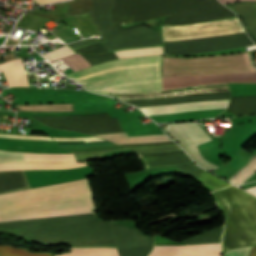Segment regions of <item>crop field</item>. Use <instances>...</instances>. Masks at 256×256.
<instances>
[{
  "label": "crop field",
  "instance_id": "11",
  "mask_svg": "<svg viewBox=\"0 0 256 256\" xmlns=\"http://www.w3.org/2000/svg\"><path fill=\"white\" fill-rule=\"evenodd\" d=\"M220 243L155 246L148 256H219Z\"/></svg>",
  "mask_w": 256,
  "mask_h": 256
},
{
  "label": "crop field",
  "instance_id": "26",
  "mask_svg": "<svg viewBox=\"0 0 256 256\" xmlns=\"http://www.w3.org/2000/svg\"><path fill=\"white\" fill-rule=\"evenodd\" d=\"M62 60L68 64L73 71L90 66V64L80 54L62 58Z\"/></svg>",
  "mask_w": 256,
  "mask_h": 256
},
{
  "label": "crop field",
  "instance_id": "16",
  "mask_svg": "<svg viewBox=\"0 0 256 256\" xmlns=\"http://www.w3.org/2000/svg\"><path fill=\"white\" fill-rule=\"evenodd\" d=\"M98 136L115 143H142V142L171 140L165 134L152 135V136L128 137L127 133H119V134L98 135Z\"/></svg>",
  "mask_w": 256,
  "mask_h": 256
},
{
  "label": "crop field",
  "instance_id": "9",
  "mask_svg": "<svg viewBox=\"0 0 256 256\" xmlns=\"http://www.w3.org/2000/svg\"><path fill=\"white\" fill-rule=\"evenodd\" d=\"M165 131L175 141L179 142L189 156L201 167L209 171L218 168V166L205 161L200 156L195 142L210 140L211 138L195 122L185 124H168Z\"/></svg>",
  "mask_w": 256,
  "mask_h": 256
},
{
  "label": "crop field",
  "instance_id": "32",
  "mask_svg": "<svg viewBox=\"0 0 256 256\" xmlns=\"http://www.w3.org/2000/svg\"><path fill=\"white\" fill-rule=\"evenodd\" d=\"M76 52H82V53H87V54H98V53H106L107 51H105L100 45L95 44L93 46L81 49L79 51Z\"/></svg>",
  "mask_w": 256,
  "mask_h": 256
},
{
  "label": "crop field",
  "instance_id": "22",
  "mask_svg": "<svg viewBox=\"0 0 256 256\" xmlns=\"http://www.w3.org/2000/svg\"><path fill=\"white\" fill-rule=\"evenodd\" d=\"M21 111H73V104L15 105Z\"/></svg>",
  "mask_w": 256,
  "mask_h": 256
},
{
  "label": "crop field",
  "instance_id": "27",
  "mask_svg": "<svg viewBox=\"0 0 256 256\" xmlns=\"http://www.w3.org/2000/svg\"><path fill=\"white\" fill-rule=\"evenodd\" d=\"M136 153H156V152H164L171 150H179L181 149L177 144L159 146V147H132L130 148Z\"/></svg>",
  "mask_w": 256,
  "mask_h": 256
},
{
  "label": "crop field",
  "instance_id": "31",
  "mask_svg": "<svg viewBox=\"0 0 256 256\" xmlns=\"http://www.w3.org/2000/svg\"><path fill=\"white\" fill-rule=\"evenodd\" d=\"M252 247L235 249L224 253L222 256H248ZM249 256H256V247H253Z\"/></svg>",
  "mask_w": 256,
  "mask_h": 256
},
{
  "label": "crop field",
  "instance_id": "34",
  "mask_svg": "<svg viewBox=\"0 0 256 256\" xmlns=\"http://www.w3.org/2000/svg\"><path fill=\"white\" fill-rule=\"evenodd\" d=\"M53 140H57V141L84 140V142H90V141H101L102 139L96 138V137H85V138H53Z\"/></svg>",
  "mask_w": 256,
  "mask_h": 256
},
{
  "label": "crop field",
  "instance_id": "13",
  "mask_svg": "<svg viewBox=\"0 0 256 256\" xmlns=\"http://www.w3.org/2000/svg\"><path fill=\"white\" fill-rule=\"evenodd\" d=\"M228 101H229V98H223V99L181 102V103H175V104H169V105L144 106L139 108L143 110L145 114H160V113H171V112H178V111L191 110V109L222 107V106H227Z\"/></svg>",
  "mask_w": 256,
  "mask_h": 256
},
{
  "label": "crop field",
  "instance_id": "8",
  "mask_svg": "<svg viewBox=\"0 0 256 256\" xmlns=\"http://www.w3.org/2000/svg\"><path fill=\"white\" fill-rule=\"evenodd\" d=\"M243 31L237 17L163 27V42L215 36Z\"/></svg>",
  "mask_w": 256,
  "mask_h": 256
},
{
  "label": "crop field",
  "instance_id": "35",
  "mask_svg": "<svg viewBox=\"0 0 256 256\" xmlns=\"http://www.w3.org/2000/svg\"><path fill=\"white\" fill-rule=\"evenodd\" d=\"M184 153L183 151H175V152H164V153H157V154H138L139 157H146V156H159V155H172V154H180Z\"/></svg>",
  "mask_w": 256,
  "mask_h": 256
},
{
  "label": "crop field",
  "instance_id": "20",
  "mask_svg": "<svg viewBox=\"0 0 256 256\" xmlns=\"http://www.w3.org/2000/svg\"><path fill=\"white\" fill-rule=\"evenodd\" d=\"M222 226L216 227L214 229L208 230L196 236H193L189 239H186V244H194V243H215L220 242V237L222 234Z\"/></svg>",
  "mask_w": 256,
  "mask_h": 256
},
{
  "label": "crop field",
  "instance_id": "12",
  "mask_svg": "<svg viewBox=\"0 0 256 256\" xmlns=\"http://www.w3.org/2000/svg\"><path fill=\"white\" fill-rule=\"evenodd\" d=\"M108 52L139 47L163 46L161 31H152L101 44Z\"/></svg>",
  "mask_w": 256,
  "mask_h": 256
},
{
  "label": "crop field",
  "instance_id": "37",
  "mask_svg": "<svg viewBox=\"0 0 256 256\" xmlns=\"http://www.w3.org/2000/svg\"><path fill=\"white\" fill-rule=\"evenodd\" d=\"M219 1L222 2L223 4H226V3H232V2L244 1V0H219Z\"/></svg>",
  "mask_w": 256,
  "mask_h": 256
},
{
  "label": "crop field",
  "instance_id": "1",
  "mask_svg": "<svg viewBox=\"0 0 256 256\" xmlns=\"http://www.w3.org/2000/svg\"><path fill=\"white\" fill-rule=\"evenodd\" d=\"M0 231L44 243L116 247L119 256H146L153 246V239L137 229L101 221L95 214L0 222Z\"/></svg>",
  "mask_w": 256,
  "mask_h": 256
},
{
  "label": "crop field",
  "instance_id": "4",
  "mask_svg": "<svg viewBox=\"0 0 256 256\" xmlns=\"http://www.w3.org/2000/svg\"><path fill=\"white\" fill-rule=\"evenodd\" d=\"M168 16L163 26L236 16L217 0H114L113 25Z\"/></svg>",
  "mask_w": 256,
  "mask_h": 256
},
{
  "label": "crop field",
  "instance_id": "2",
  "mask_svg": "<svg viewBox=\"0 0 256 256\" xmlns=\"http://www.w3.org/2000/svg\"><path fill=\"white\" fill-rule=\"evenodd\" d=\"M88 179L0 194V221L92 212Z\"/></svg>",
  "mask_w": 256,
  "mask_h": 256
},
{
  "label": "crop field",
  "instance_id": "5",
  "mask_svg": "<svg viewBox=\"0 0 256 256\" xmlns=\"http://www.w3.org/2000/svg\"><path fill=\"white\" fill-rule=\"evenodd\" d=\"M233 186L212 193L225 217L222 250L256 245V198Z\"/></svg>",
  "mask_w": 256,
  "mask_h": 256
},
{
  "label": "crop field",
  "instance_id": "29",
  "mask_svg": "<svg viewBox=\"0 0 256 256\" xmlns=\"http://www.w3.org/2000/svg\"><path fill=\"white\" fill-rule=\"evenodd\" d=\"M82 55V54H81ZM91 65L97 64L100 62L116 59L117 56L114 52L106 53L103 55H82Z\"/></svg>",
  "mask_w": 256,
  "mask_h": 256
},
{
  "label": "crop field",
  "instance_id": "28",
  "mask_svg": "<svg viewBox=\"0 0 256 256\" xmlns=\"http://www.w3.org/2000/svg\"><path fill=\"white\" fill-rule=\"evenodd\" d=\"M71 54H74V52L70 48H68L66 45H64L58 49H55L43 54V56L48 60L52 61V60H56Z\"/></svg>",
  "mask_w": 256,
  "mask_h": 256
},
{
  "label": "crop field",
  "instance_id": "14",
  "mask_svg": "<svg viewBox=\"0 0 256 256\" xmlns=\"http://www.w3.org/2000/svg\"><path fill=\"white\" fill-rule=\"evenodd\" d=\"M0 71H3L9 87L29 86L21 59L0 64Z\"/></svg>",
  "mask_w": 256,
  "mask_h": 256
},
{
  "label": "crop field",
  "instance_id": "18",
  "mask_svg": "<svg viewBox=\"0 0 256 256\" xmlns=\"http://www.w3.org/2000/svg\"><path fill=\"white\" fill-rule=\"evenodd\" d=\"M83 162L79 163H61V164H42V163H27V164H0V171L15 170V169H52V168H72L85 166Z\"/></svg>",
  "mask_w": 256,
  "mask_h": 256
},
{
  "label": "crop field",
  "instance_id": "25",
  "mask_svg": "<svg viewBox=\"0 0 256 256\" xmlns=\"http://www.w3.org/2000/svg\"><path fill=\"white\" fill-rule=\"evenodd\" d=\"M124 148H114V149H102V150H91V151H72L75 155L76 161L91 160L99 157L107 151L113 150H123Z\"/></svg>",
  "mask_w": 256,
  "mask_h": 256
},
{
  "label": "crop field",
  "instance_id": "17",
  "mask_svg": "<svg viewBox=\"0 0 256 256\" xmlns=\"http://www.w3.org/2000/svg\"><path fill=\"white\" fill-rule=\"evenodd\" d=\"M54 256H118L116 248L107 247H84L71 248L70 252Z\"/></svg>",
  "mask_w": 256,
  "mask_h": 256
},
{
  "label": "crop field",
  "instance_id": "7",
  "mask_svg": "<svg viewBox=\"0 0 256 256\" xmlns=\"http://www.w3.org/2000/svg\"><path fill=\"white\" fill-rule=\"evenodd\" d=\"M110 7L113 0H70L68 1V16L88 12L102 38H95L68 44L73 50L91 45L95 42H105L117 38L151 31V29L138 25L128 29L120 26H112L110 19Z\"/></svg>",
  "mask_w": 256,
  "mask_h": 256
},
{
  "label": "crop field",
  "instance_id": "21",
  "mask_svg": "<svg viewBox=\"0 0 256 256\" xmlns=\"http://www.w3.org/2000/svg\"><path fill=\"white\" fill-rule=\"evenodd\" d=\"M256 172V155L250 156L249 162L236 172L228 181L241 184Z\"/></svg>",
  "mask_w": 256,
  "mask_h": 256
},
{
  "label": "crop field",
  "instance_id": "3",
  "mask_svg": "<svg viewBox=\"0 0 256 256\" xmlns=\"http://www.w3.org/2000/svg\"><path fill=\"white\" fill-rule=\"evenodd\" d=\"M160 63L161 56L121 59L65 76L102 94L158 91Z\"/></svg>",
  "mask_w": 256,
  "mask_h": 256
},
{
  "label": "crop field",
  "instance_id": "15",
  "mask_svg": "<svg viewBox=\"0 0 256 256\" xmlns=\"http://www.w3.org/2000/svg\"><path fill=\"white\" fill-rule=\"evenodd\" d=\"M229 6L238 12L256 39V2H241Z\"/></svg>",
  "mask_w": 256,
  "mask_h": 256
},
{
  "label": "crop field",
  "instance_id": "36",
  "mask_svg": "<svg viewBox=\"0 0 256 256\" xmlns=\"http://www.w3.org/2000/svg\"><path fill=\"white\" fill-rule=\"evenodd\" d=\"M39 5L48 3V2H53V1H58V0H35Z\"/></svg>",
  "mask_w": 256,
  "mask_h": 256
},
{
  "label": "crop field",
  "instance_id": "30",
  "mask_svg": "<svg viewBox=\"0 0 256 256\" xmlns=\"http://www.w3.org/2000/svg\"><path fill=\"white\" fill-rule=\"evenodd\" d=\"M0 162H24V153L0 151Z\"/></svg>",
  "mask_w": 256,
  "mask_h": 256
},
{
  "label": "crop field",
  "instance_id": "23",
  "mask_svg": "<svg viewBox=\"0 0 256 256\" xmlns=\"http://www.w3.org/2000/svg\"><path fill=\"white\" fill-rule=\"evenodd\" d=\"M115 54L118 56V58H127V57H133V56H151V55L162 54V47L122 50V51H116Z\"/></svg>",
  "mask_w": 256,
  "mask_h": 256
},
{
  "label": "crop field",
  "instance_id": "10",
  "mask_svg": "<svg viewBox=\"0 0 256 256\" xmlns=\"http://www.w3.org/2000/svg\"><path fill=\"white\" fill-rule=\"evenodd\" d=\"M147 168L158 166L175 165L178 169L183 171L188 176L202 182L210 188L217 190L229 186L230 184L222 181L216 176L204 171L203 169L192 164V161L186 154L161 156V157H148L142 158Z\"/></svg>",
  "mask_w": 256,
  "mask_h": 256
},
{
  "label": "crop field",
  "instance_id": "19",
  "mask_svg": "<svg viewBox=\"0 0 256 256\" xmlns=\"http://www.w3.org/2000/svg\"><path fill=\"white\" fill-rule=\"evenodd\" d=\"M73 154H34L25 153V162H71Z\"/></svg>",
  "mask_w": 256,
  "mask_h": 256
},
{
  "label": "crop field",
  "instance_id": "38",
  "mask_svg": "<svg viewBox=\"0 0 256 256\" xmlns=\"http://www.w3.org/2000/svg\"><path fill=\"white\" fill-rule=\"evenodd\" d=\"M248 191H250L252 194L256 195V187L250 188V189H246Z\"/></svg>",
  "mask_w": 256,
  "mask_h": 256
},
{
  "label": "crop field",
  "instance_id": "33",
  "mask_svg": "<svg viewBox=\"0 0 256 256\" xmlns=\"http://www.w3.org/2000/svg\"><path fill=\"white\" fill-rule=\"evenodd\" d=\"M0 137H5V138H17V139L52 140V139H50L49 137L27 136V135H7V134H0Z\"/></svg>",
  "mask_w": 256,
  "mask_h": 256
},
{
  "label": "crop field",
  "instance_id": "24",
  "mask_svg": "<svg viewBox=\"0 0 256 256\" xmlns=\"http://www.w3.org/2000/svg\"><path fill=\"white\" fill-rule=\"evenodd\" d=\"M0 256H53L51 252L30 253L26 248H12L4 245L0 246Z\"/></svg>",
  "mask_w": 256,
  "mask_h": 256
},
{
  "label": "crop field",
  "instance_id": "6",
  "mask_svg": "<svg viewBox=\"0 0 256 256\" xmlns=\"http://www.w3.org/2000/svg\"><path fill=\"white\" fill-rule=\"evenodd\" d=\"M247 53L194 58H163L162 77L250 72Z\"/></svg>",
  "mask_w": 256,
  "mask_h": 256
}]
</instances>
